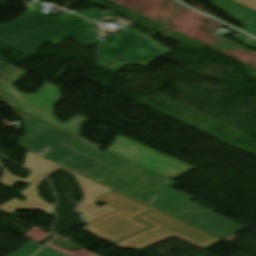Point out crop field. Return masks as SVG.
<instances>
[{
	"instance_id": "8a807250",
	"label": "crop field",
	"mask_w": 256,
	"mask_h": 256,
	"mask_svg": "<svg viewBox=\"0 0 256 256\" xmlns=\"http://www.w3.org/2000/svg\"><path fill=\"white\" fill-rule=\"evenodd\" d=\"M7 107L12 108L14 113L24 118L26 136L20 142V147L36 155H38L37 153L45 146L53 147L52 149L56 151L43 158L76 173L99 163L78 152L99 160L103 162V164L80 174L141 202L159 194L150 199V202L143 203L157 208V210L221 240L245 228L188 201L192 198L171 188L179 183L111 152H100L78 137L63 143L78 151L76 152L60 144L62 141L73 137L72 135L33 118L9 105H7ZM120 176H122V178H120ZM129 178H131V180H129ZM222 233L225 234L223 235Z\"/></svg>"
},
{
	"instance_id": "ac0d7876",
	"label": "crop field",
	"mask_w": 256,
	"mask_h": 256,
	"mask_svg": "<svg viewBox=\"0 0 256 256\" xmlns=\"http://www.w3.org/2000/svg\"><path fill=\"white\" fill-rule=\"evenodd\" d=\"M96 24L83 19L51 28L29 32L52 44L60 43L63 39L75 37L84 47L102 44L95 64L111 71H118L129 64L146 65L159 55L171 53L151 40L155 34L150 35L133 27H126L102 42L94 37L92 29Z\"/></svg>"
},
{
	"instance_id": "34b2d1b8",
	"label": "crop field",
	"mask_w": 256,
	"mask_h": 256,
	"mask_svg": "<svg viewBox=\"0 0 256 256\" xmlns=\"http://www.w3.org/2000/svg\"><path fill=\"white\" fill-rule=\"evenodd\" d=\"M26 74L27 72L22 69L9 74L10 81L3 91L13 95L23 111L79 136L83 124L88 120L81 116H77L74 119L63 123L55 117L54 105L62 100L58 93L60 87L47 82L36 95H23L12 86Z\"/></svg>"
},
{
	"instance_id": "412701ff",
	"label": "crop field",
	"mask_w": 256,
	"mask_h": 256,
	"mask_svg": "<svg viewBox=\"0 0 256 256\" xmlns=\"http://www.w3.org/2000/svg\"><path fill=\"white\" fill-rule=\"evenodd\" d=\"M107 150L170 179L194 169L175 158L165 157L122 136H119Z\"/></svg>"
},
{
	"instance_id": "f4fd0767",
	"label": "crop field",
	"mask_w": 256,
	"mask_h": 256,
	"mask_svg": "<svg viewBox=\"0 0 256 256\" xmlns=\"http://www.w3.org/2000/svg\"><path fill=\"white\" fill-rule=\"evenodd\" d=\"M150 225L115 210L88 223L87 232L111 243L143 230Z\"/></svg>"
},
{
	"instance_id": "dd49c442",
	"label": "crop field",
	"mask_w": 256,
	"mask_h": 256,
	"mask_svg": "<svg viewBox=\"0 0 256 256\" xmlns=\"http://www.w3.org/2000/svg\"><path fill=\"white\" fill-rule=\"evenodd\" d=\"M138 219L202 249L221 241L157 210L142 215Z\"/></svg>"
},
{
	"instance_id": "e52e79f7",
	"label": "crop field",
	"mask_w": 256,
	"mask_h": 256,
	"mask_svg": "<svg viewBox=\"0 0 256 256\" xmlns=\"http://www.w3.org/2000/svg\"><path fill=\"white\" fill-rule=\"evenodd\" d=\"M59 169L72 174L77 179V182L83 191V198L80 201L81 206L79 210L83 212L85 215H87L84 218L85 223H88L100 216H103L115 210L107 205L100 207L95 204L98 201L95 200L94 198L101 196L111 190L103 185H100L90 179H87L79 174H76L70 170H67L59 165L55 166L54 168H52L51 170H49L43 175L47 177ZM92 184H96V185L93 186Z\"/></svg>"
},
{
	"instance_id": "d8731c3e",
	"label": "crop field",
	"mask_w": 256,
	"mask_h": 256,
	"mask_svg": "<svg viewBox=\"0 0 256 256\" xmlns=\"http://www.w3.org/2000/svg\"><path fill=\"white\" fill-rule=\"evenodd\" d=\"M26 7L29 8L27 12L8 25L15 27L17 29H20L24 32H27V31L67 22L70 20L82 18L67 12L54 19L44 14L42 12V8L44 7L36 3H30L26 5Z\"/></svg>"
},
{
	"instance_id": "5a996713",
	"label": "crop field",
	"mask_w": 256,
	"mask_h": 256,
	"mask_svg": "<svg viewBox=\"0 0 256 256\" xmlns=\"http://www.w3.org/2000/svg\"><path fill=\"white\" fill-rule=\"evenodd\" d=\"M46 178L40 176L37 180L30 184L28 188L22 191L19 195L28 198L27 200L21 202L16 199H12L5 204L0 206V209L12 213L17 210H28V209H40L44 212L52 214L54 206L46 203L44 199L39 197L37 188L38 185L44 181Z\"/></svg>"
},
{
	"instance_id": "3316defc",
	"label": "crop field",
	"mask_w": 256,
	"mask_h": 256,
	"mask_svg": "<svg viewBox=\"0 0 256 256\" xmlns=\"http://www.w3.org/2000/svg\"><path fill=\"white\" fill-rule=\"evenodd\" d=\"M217 8L226 11L229 16L247 26L242 30L256 36V11L233 0H209ZM238 22V23H239Z\"/></svg>"
},
{
	"instance_id": "28ad6ade",
	"label": "crop field",
	"mask_w": 256,
	"mask_h": 256,
	"mask_svg": "<svg viewBox=\"0 0 256 256\" xmlns=\"http://www.w3.org/2000/svg\"><path fill=\"white\" fill-rule=\"evenodd\" d=\"M96 199L133 217L153 209L114 190Z\"/></svg>"
},
{
	"instance_id": "d1516ede",
	"label": "crop field",
	"mask_w": 256,
	"mask_h": 256,
	"mask_svg": "<svg viewBox=\"0 0 256 256\" xmlns=\"http://www.w3.org/2000/svg\"><path fill=\"white\" fill-rule=\"evenodd\" d=\"M170 236L171 235L165 232H162L154 227H151L145 231H142L136 235L124 239L114 245L120 248H131L135 250H141Z\"/></svg>"
},
{
	"instance_id": "22f410ed",
	"label": "crop field",
	"mask_w": 256,
	"mask_h": 256,
	"mask_svg": "<svg viewBox=\"0 0 256 256\" xmlns=\"http://www.w3.org/2000/svg\"><path fill=\"white\" fill-rule=\"evenodd\" d=\"M17 48H20L34 56H36L37 49L46 41L32 36L28 33L1 39Z\"/></svg>"
},
{
	"instance_id": "cbeb9de0",
	"label": "crop field",
	"mask_w": 256,
	"mask_h": 256,
	"mask_svg": "<svg viewBox=\"0 0 256 256\" xmlns=\"http://www.w3.org/2000/svg\"><path fill=\"white\" fill-rule=\"evenodd\" d=\"M55 165L56 164L28 152L24 166L43 174Z\"/></svg>"
},
{
	"instance_id": "5142ce71",
	"label": "crop field",
	"mask_w": 256,
	"mask_h": 256,
	"mask_svg": "<svg viewBox=\"0 0 256 256\" xmlns=\"http://www.w3.org/2000/svg\"><path fill=\"white\" fill-rule=\"evenodd\" d=\"M16 69H18V68L14 67L12 65H9L0 60V89L8 82L7 74ZM0 97L2 98V102L9 104L11 106H14L18 109V107H17L16 103L14 102V100L12 99V97L5 94L1 90H0Z\"/></svg>"
},
{
	"instance_id": "d9b57169",
	"label": "crop field",
	"mask_w": 256,
	"mask_h": 256,
	"mask_svg": "<svg viewBox=\"0 0 256 256\" xmlns=\"http://www.w3.org/2000/svg\"><path fill=\"white\" fill-rule=\"evenodd\" d=\"M0 168L4 171L3 176L0 178V182L10 186L14 185L18 181L30 184L31 182H33L35 179L39 177V175L31 172L30 177L27 178L26 180H23L9 174L2 165H0Z\"/></svg>"
},
{
	"instance_id": "733c2abd",
	"label": "crop field",
	"mask_w": 256,
	"mask_h": 256,
	"mask_svg": "<svg viewBox=\"0 0 256 256\" xmlns=\"http://www.w3.org/2000/svg\"><path fill=\"white\" fill-rule=\"evenodd\" d=\"M43 245L34 242L30 240L27 242L23 247H21L19 250L11 253L8 256H30L36 251H38Z\"/></svg>"
},
{
	"instance_id": "4a817a6b",
	"label": "crop field",
	"mask_w": 256,
	"mask_h": 256,
	"mask_svg": "<svg viewBox=\"0 0 256 256\" xmlns=\"http://www.w3.org/2000/svg\"><path fill=\"white\" fill-rule=\"evenodd\" d=\"M100 12H103V10H100V9H98L96 7H93V8H90L88 10H85L83 12H76V13L81 15V16H83V17H86V16L94 15V14H97V13H100ZM102 16H108V17H113V18H117L118 17L117 15L106 11V13H103V14H100V15H96V16H93V17H89V18L93 20L95 18L102 17Z\"/></svg>"
},
{
	"instance_id": "bc2a9ffb",
	"label": "crop field",
	"mask_w": 256,
	"mask_h": 256,
	"mask_svg": "<svg viewBox=\"0 0 256 256\" xmlns=\"http://www.w3.org/2000/svg\"><path fill=\"white\" fill-rule=\"evenodd\" d=\"M25 236L41 243L45 238L49 237V234L42 231V229L34 226Z\"/></svg>"
},
{
	"instance_id": "214f88e0",
	"label": "crop field",
	"mask_w": 256,
	"mask_h": 256,
	"mask_svg": "<svg viewBox=\"0 0 256 256\" xmlns=\"http://www.w3.org/2000/svg\"><path fill=\"white\" fill-rule=\"evenodd\" d=\"M46 246H48L54 250H57L63 254H66L68 256H98V255L92 254V253L84 251V250L83 251L66 252L65 250H63L55 245H52L50 243Z\"/></svg>"
},
{
	"instance_id": "92a150f3",
	"label": "crop field",
	"mask_w": 256,
	"mask_h": 256,
	"mask_svg": "<svg viewBox=\"0 0 256 256\" xmlns=\"http://www.w3.org/2000/svg\"><path fill=\"white\" fill-rule=\"evenodd\" d=\"M20 33H24V32L17 30L15 28H12L6 24L0 25V38L16 35Z\"/></svg>"
},
{
	"instance_id": "dafd665d",
	"label": "crop field",
	"mask_w": 256,
	"mask_h": 256,
	"mask_svg": "<svg viewBox=\"0 0 256 256\" xmlns=\"http://www.w3.org/2000/svg\"><path fill=\"white\" fill-rule=\"evenodd\" d=\"M94 21L98 22V23H104V22H113L115 24L121 25L123 27H126L128 25L133 26L131 23L121 19V18H117V19H112V18H108V17H102V18H98L95 19Z\"/></svg>"
},
{
	"instance_id": "00972430",
	"label": "crop field",
	"mask_w": 256,
	"mask_h": 256,
	"mask_svg": "<svg viewBox=\"0 0 256 256\" xmlns=\"http://www.w3.org/2000/svg\"><path fill=\"white\" fill-rule=\"evenodd\" d=\"M34 256H65V255L44 246L43 249Z\"/></svg>"
},
{
	"instance_id": "a9b5d70f",
	"label": "crop field",
	"mask_w": 256,
	"mask_h": 256,
	"mask_svg": "<svg viewBox=\"0 0 256 256\" xmlns=\"http://www.w3.org/2000/svg\"><path fill=\"white\" fill-rule=\"evenodd\" d=\"M235 1L256 10V0H235Z\"/></svg>"
},
{
	"instance_id": "4177f3b9",
	"label": "crop field",
	"mask_w": 256,
	"mask_h": 256,
	"mask_svg": "<svg viewBox=\"0 0 256 256\" xmlns=\"http://www.w3.org/2000/svg\"><path fill=\"white\" fill-rule=\"evenodd\" d=\"M52 151H54V150L50 149L49 147H45L44 149H42V151L39 154L44 156Z\"/></svg>"
}]
</instances>
